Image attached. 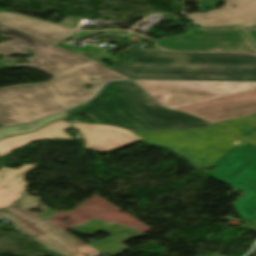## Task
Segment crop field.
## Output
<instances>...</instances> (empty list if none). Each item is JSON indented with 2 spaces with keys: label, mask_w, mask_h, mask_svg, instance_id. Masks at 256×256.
Instances as JSON below:
<instances>
[{
  "label": "crop field",
  "mask_w": 256,
  "mask_h": 256,
  "mask_svg": "<svg viewBox=\"0 0 256 256\" xmlns=\"http://www.w3.org/2000/svg\"><path fill=\"white\" fill-rule=\"evenodd\" d=\"M0 31L18 38L1 43L0 54H18L26 50L37 53L29 60L0 61V68L32 66L56 77L48 83L0 88V123L3 126L27 123L68 110L92 99L105 81L129 79L97 62L3 26ZM17 61L32 64L17 65ZM90 77L98 80L90 82ZM85 83H96V86L89 91L81 86Z\"/></svg>",
  "instance_id": "1"
},
{
  "label": "crop field",
  "mask_w": 256,
  "mask_h": 256,
  "mask_svg": "<svg viewBox=\"0 0 256 256\" xmlns=\"http://www.w3.org/2000/svg\"><path fill=\"white\" fill-rule=\"evenodd\" d=\"M144 143L166 147L191 161L197 169L222 168L203 173L247 194L233 204L241 218L256 220V148L243 143L219 126L190 131L135 132Z\"/></svg>",
  "instance_id": "2"
},
{
  "label": "crop field",
  "mask_w": 256,
  "mask_h": 256,
  "mask_svg": "<svg viewBox=\"0 0 256 256\" xmlns=\"http://www.w3.org/2000/svg\"><path fill=\"white\" fill-rule=\"evenodd\" d=\"M132 130H189L214 126L194 115L162 108L134 81L112 82L90 103L69 111Z\"/></svg>",
  "instance_id": "3"
},
{
  "label": "crop field",
  "mask_w": 256,
  "mask_h": 256,
  "mask_svg": "<svg viewBox=\"0 0 256 256\" xmlns=\"http://www.w3.org/2000/svg\"><path fill=\"white\" fill-rule=\"evenodd\" d=\"M112 69L132 79L256 81V67H230L229 54L133 52Z\"/></svg>",
  "instance_id": "4"
},
{
  "label": "crop field",
  "mask_w": 256,
  "mask_h": 256,
  "mask_svg": "<svg viewBox=\"0 0 256 256\" xmlns=\"http://www.w3.org/2000/svg\"><path fill=\"white\" fill-rule=\"evenodd\" d=\"M41 205L43 204L40 203L39 197L26 196L9 209L0 210V215L12 220L20 230L64 256H84L82 254L90 256L98 252L70 234L43 221L42 219L54 216L50 208L41 207L45 213L39 216L24 210Z\"/></svg>",
  "instance_id": "5"
},
{
  "label": "crop field",
  "mask_w": 256,
  "mask_h": 256,
  "mask_svg": "<svg viewBox=\"0 0 256 256\" xmlns=\"http://www.w3.org/2000/svg\"><path fill=\"white\" fill-rule=\"evenodd\" d=\"M188 34L173 38L180 41L156 40L162 48L171 50L236 51L256 53V46L241 27L186 28Z\"/></svg>",
  "instance_id": "6"
},
{
  "label": "crop field",
  "mask_w": 256,
  "mask_h": 256,
  "mask_svg": "<svg viewBox=\"0 0 256 256\" xmlns=\"http://www.w3.org/2000/svg\"><path fill=\"white\" fill-rule=\"evenodd\" d=\"M160 104L171 108L251 88L256 83L136 81Z\"/></svg>",
  "instance_id": "7"
},
{
  "label": "crop field",
  "mask_w": 256,
  "mask_h": 256,
  "mask_svg": "<svg viewBox=\"0 0 256 256\" xmlns=\"http://www.w3.org/2000/svg\"><path fill=\"white\" fill-rule=\"evenodd\" d=\"M172 109L194 114L213 123L252 114L256 112V87Z\"/></svg>",
  "instance_id": "8"
},
{
  "label": "crop field",
  "mask_w": 256,
  "mask_h": 256,
  "mask_svg": "<svg viewBox=\"0 0 256 256\" xmlns=\"http://www.w3.org/2000/svg\"><path fill=\"white\" fill-rule=\"evenodd\" d=\"M70 124L83 135L86 141L85 148L96 152L109 150L143 140L131 131L113 126L84 123Z\"/></svg>",
  "instance_id": "9"
},
{
  "label": "crop field",
  "mask_w": 256,
  "mask_h": 256,
  "mask_svg": "<svg viewBox=\"0 0 256 256\" xmlns=\"http://www.w3.org/2000/svg\"><path fill=\"white\" fill-rule=\"evenodd\" d=\"M226 6L205 14H187L198 25L245 24L256 20V0H225ZM234 5L235 8L232 6Z\"/></svg>",
  "instance_id": "10"
},
{
  "label": "crop field",
  "mask_w": 256,
  "mask_h": 256,
  "mask_svg": "<svg viewBox=\"0 0 256 256\" xmlns=\"http://www.w3.org/2000/svg\"><path fill=\"white\" fill-rule=\"evenodd\" d=\"M69 230L90 234V235H93L98 230L116 234L108 239H105L101 242H98L92 245L96 249L100 250L101 252L109 256H115L117 254H120L122 252L129 250V248H127L122 243L132 238L143 235L142 233L136 230H133L129 227L111 224V223H107V222H103L95 219L81 226H74Z\"/></svg>",
  "instance_id": "11"
},
{
  "label": "crop field",
  "mask_w": 256,
  "mask_h": 256,
  "mask_svg": "<svg viewBox=\"0 0 256 256\" xmlns=\"http://www.w3.org/2000/svg\"><path fill=\"white\" fill-rule=\"evenodd\" d=\"M0 24L54 45L77 32L10 14H0Z\"/></svg>",
  "instance_id": "12"
},
{
  "label": "crop field",
  "mask_w": 256,
  "mask_h": 256,
  "mask_svg": "<svg viewBox=\"0 0 256 256\" xmlns=\"http://www.w3.org/2000/svg\"><path fill=\"white\" fill-rule=\"evenodd\" d=\"M36 165L24 164L18 169L6 167L0 169V208L10 206L23 196L20 193L27 188V183L23 177Z\"/></svg>",
  "instance_id": "13"
},
{
  "label": "crop field",
  "mask_w": 256,
  "mask_h": 256,
  "mask_svg": "<svg viewBox=\"0 0 256 256\" xmlns=\"http://www.w3.org/2000/svg\"><path fill=\"white\" fill-rule=\"evenodd\" d=\"M65 121L54 122L47 127L32 133L17 137L6 138L0 141V158L7 153L23 147L25 144L44 139H73L62 130L70 129Z\"/></svg>",
  "instance_id": "14"
},
{
  "label": "crop field",
  "mask_w": 256,
  "mask_h": 256,
  "mask_svg": "<svg viewBox=\"0 0 256 256\" xmlns=\"http://www.w3.org/2000/svg\"><path fill=\"white\" fill-rule=\"evenodd\" d=\"M221 125L234 136L241 140L247 139L250 135L256 132V114L216 123Z\"/></svg>",
  "instance_id": "15"
},
{
  "label": "crop field",
  "mask_w": 256,
  "mask_h": 256,
  "mask_svg": "<svg viewBox=\"0 0 256 256\" xmlns=\"http://www.w3.org/2000/svg\"><path fill=\"white\" fill-rule=\"evenodd\" d=\"M63 118H64L63 115L60 114V115H56L50 118L37 121L29 125L0 128V138L7 137L14 134H23V133L31 132L38 129L39 127H41L42 125L46 124L49 121H54L56 119H63Z\"/></svg>",
  "instance_id": "16"
},
{
  "label": "crop field",
  "mask_w": 256,
  "mask_h": 256,
  "mask_svg": "<svg viewBox=\"0 0 256 256\" xmlns=\"http://www.w3.org/2000/svg\"><path fill=\"white\" fill-rule=\"evenodd\" d=\"M231 66H256V56L248 54H230Z\"/></svg>",
  "instance_id": "17"
},
{
  "label": "crop field",
  "mask_w": 256,
  "mask_h": 256,
  "mask_svg": "<svg viewBox=\"0 0 256 256\" xmlns=\"http://www.w3.org/2000/svg\"><path fill=\"white\" fill-rule=\"evenodd\" d=\"M246 142L256 145V134L248 139Z\"/></svg>",
  "instance_id": "18"
},
{
  "label": "crop field",
  "mask_w": 256,
  "mask_h": 256,
  "mask_svg": "<svg viewBox=\"0 0 256 256\" xmlns=\"http://www.w3.org/2000/svg\"><path fill=\"white\" fill-rule=\"evenodd\" d=\"M243 27H245V28H253V27H256V21H255V22H252V23H249V24H245V25H243Z\"/></svg>",
  "instance_id": "19"
},
{
  "label": "crop field",
  "mask_w": 256,
  "mask_h": 256,
  "mask_svg": "<svg viewBox=\"0 0 256 256\" xmlns=\"http://www.w3.org/2000/svg\"><path fill=\"white\" fill-rule=\"evenodd\" d=\"M248 33L252 36V38H253V39L255 40V42H256V32L250 30Z\"/></svg>",
  "instance_id": "20"
},
{
  "label": "crop field",
  "mask_w": 256,
  "mask_h": 256,
  "mask_svg": "<svg viewBox=\"0 0 256 256\" xmlns=\"http://www.w3.org/2000/svg\"><path fill=\"white\" fill-rule=\"evenodd\" d=\"M1 167H3V163H2V161L0 160V168H1Z\"/></svg>",
  "instance_id": "21"
},
{
  "label": "crop field",
  "mask_w": 256,
  "mask_h": 256,
  "mask_svg": "<svg viewBox=\"0 0 256 256\" xmlns=\"http://www.w3.org/2000/svg\"><path fill=\"white\" fill-rule=\"evenodd\" d=\"M217 1H221V0H217Z\"/></svg>",
  "instance_id": "22"
},
{
  "label": "crop field",
  "mask_w": 256,
  "mask_h": 256,
  "mask_svg": "<svg viewBox=\"0 0 256 256\" xmlns=\"http://www.w3.org/2000/svg\"><path fill=\"white\" fill-rule=\"evenodd\" d=\"M253 30H255V31H256V29H253Z\"/></svg>",
  "instance_id": "23"
}]
</instances>
